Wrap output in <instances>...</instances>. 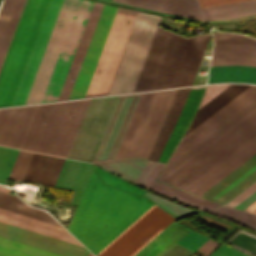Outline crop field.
Here are the masks:
<instances>
[{
	"label": "crop field",
	"mask_w": 256,
	"mask_h": 256,
	"mask_svg": "<svg viewBox=\"0 0 256 256\" xmlns=\"http://www.w3.org/2000/svg\"><path fill=\"white\" fill-rule=\"evenodd\" d=\"M143 197L103 185L93 170L68 230L96 255L154 204Z\"/></svg>",
	"instance_id": "obj_1"
},
{
	"label": "crop field",
	"mask_w": 256,
	"mask_h": 256,
	"mask_svg": "<svg viewBox=\"0 0 256 256\" xmlns=\"http://www.w3.org/2000/svg\"><path fill=\"white\" fill-rule=\"evenodd\" d=\"M176 35L156 28L133 92L172 86L190 39ZM209 36L190 39L172 87L192 84Z\"/></svg>",
	"instance_id": "obj_2"
},
{
	"label": "crop field",
	"mask_w": 256,
	"mask_h": 256,
	"mask_svg": "<svg viewBox=\"0 0 256 256\" xmlns=\"http://www.w3.org/2000/svg\"><path fill=\"white\" fill-rule=\"evenodd\" d=\"M89 100L39 105L20 148L65 157Z\"/></svg>",
	"instance_id": "obj_3"
},
{
	"label": "crop field",
	"mask_w": 256,
	"mask_h": 256,
	"mask_svg": "<svg viewBox=\"0 0 256 256\" xmlns=\"http://www.w3.org/2000/svg\"><path fill=\"white\" fill-rule=\"evenodd\" d=\"M50 0H26L0 68V107L11 106Z\"/></svg>",
	"instance_id": "obj_4"
},
{
	"label": "crop field",
	"mask_w": 256,
	"mask_h": 256,
	"mask_svg": "<svg viewBox=\"0 0 256 256\" xmlns=\"http://www.w3.org/2000/svg\"><path fill=\"white\" fill-rule=\"evenodd\" d=\"M175 90L140 94L114 159L147 158Z\"/></svg>",
	"instance_id": "obj_5"
},
{
	"label": "crop field",
	"mask_w": 256,
	"mask_h": 256,
	"mask_svg": "<svg viewBox=\"0 0 256 256\" xmlns=\"http://www.w3.org/2000/svg\"><path fill=\"white\" fill-rule=\"evenodd\" d=\"M255 96L256 86H250L241 94H239L236 98H234L224 107H222L219 111H217L215 114H213L203 123H201L198 127L192 130L186 136H184L180 141L179 145L177 146V148L175 149V151L173 152L172 156L168 160V162L172 160L174 157H176L178 154H180L182 151H184L186 148H188L190 145H192L194 142H196L199 138H201L211 129H213L215 126H217L219 123H221L223 120H225L227 117H229L231 114H233L236 110H238L240 107H242ZM255 107L256 97L252 99L250 102H248L246 105H244L242 108H240L238 111H236L225 121H223L221 124H219L217 127H215L213 130H211L209 133H207L205 136H203L201 139H199L196 143H194L180 155H178L176 158H174L172 161H170L169 163L167 162L168 164L164 166L162 172L157 177V180L160 181L161 179H163L165 176H167L169 173L175 170L178 166H180L182 163L188 160L191 156H193L195 153H197L199 150L205 147L208 143H210L212 140L218 137L221 133H223L225 130H227L229 127L235 124L238 120H240L242 117L248 114Z\"/></svg>",
	"instance_id": "obj_6"
},
{
	"label": "crop field",
	"mask_w": 256,
	"mask_h": 256,
	"mask_svg": "<svg viewBox=\"0 0 256 256\" xmlns=\"http://www.w3.org/2000/svg\"><path fill=\"white\" fill-rule=\"evenodd\" d=\"M256 133V108L161 182L183 189Z\"/></svg>",
	"instance_id": "obj_7"
},
{
	"label": "crop field",
	"mask_w": 256,
	"mask_h": 256,
	"mask_svg": "<svg viewBox=\"0 0 256 256\" xmlns=\"http://www.w3.org/2000/svg\"><path fill=\"white\" fill-rule=\"evenodd\" d=\"M159 19L138 12L108 95L133 91Z\"/></svg>",
	"instance_id": "obj_8"
},
{
	"label": "crop field",
	"mask_w": 256,
	"mask_h": 256,
	"mask_svg": "<svg viewBox=\"0 0 256 256\" xmlns=\"http://www.w3.org/2000/svg\"><path fill=\"white\" fill-rule=\"evenodd\" d=\"M136 13L117 9L85 97L107 95Z\"/></svg>",
	"instance_id": "obj_9"
},
{
	"label": "crop field",
	"mask_w": 256,
	"mask_h": 256,
	"mask_svg": "<svg viewBox=\"0 0 256 256\" xmlns=\"http://www.w3.org/2000/svg\"><path fill=\"white\" fill-rule=\"evenodd\" d=\"M175 219L154 204L96 256H133Z\"/></svg>",
	"instance_id": "obj_10"
},
{
	"label": "crop field",
	"mask_w": 256,
	"mask_h": 256,
	"mask_svg": "<svg viewBox=\"0 0 256 256\" xmlns=\"http://www.w3.org/2000/svg\"><path fill=\"white\" fill-rule=\"evenodd\" d=\"M230 64L256 66V46L246 44H214L210 66ZM241 65L210 67L208 83H256V67Z\"/></svg>",
	"instance_id": "obj_11"
},
{
	"label": "crop field",
	"mask_w": 256,
	"mask_h": 256,
	"mask_svg": "<svg viewBox=\"0 0 256 256\" xmlns=\"http://www.w3.org/2000/svg\"><path fill=\"white\" fill-rule=\"evenodd\" d=\"M117 96L91 99L66 157L89 162Z\"/></svg>",
	"instance_id": "obj_12"
},
{
	"label": "crop field",
	"mask_w": 256,
	"mask_h": 256,
	"mask_svg": "<svg viewBox=\"0 0 256 256\" xmlns=\"http://www.w3.org/2000/svg\"><path fill=\"white\" fill-rule=\"evenodd\" d=\"M78 0H63L25 104L40 102Z\"/></svg>",
	"instance_id": "obj_13"
},
{
	"label": "crop field",
	"mask_w": 256,
	"mask_h": 256,
	"mask_svg": "<svg viewBox=\"0 0 256 256\" xmlns=\"http://www.w3.org/2000/svg\"><path fill=\"white\" fill-rule=\"evenodd\" d=\"M92 3L93 2L91 1L79 0L73 18L71 20L67 35L65 37L62 49L60 51L58 60L56 62L55 68L53 70L41 102L53 101L57 99L69 65L71 63L73 54L75 52L81 32L88 18Z\"/></svg>",
	"instance_id": "obj_14"
},
{
	"label": "crop field",
	"mask_w": 256,
	"mask_h": 256,
	"mask_svg": "<svg viewBox=\"0 0 256 256\" xmlns=\"http://www.w3.org/2000/svg\"><path fill=\"white\" fill-rule=\"evenodd\" d=\"M139 97L140 94L117 97L92 162L113 158Z\"/></svg>",
	"instance_id": "obj_15"
},
{
	"label": "crop field",
	"mask_w": 256,
	"mask_h": 256,
	"mask_svg": "<svg viewBox=\"0 0 256 256\" xmlns=\"http://www.w3.org/2000/svg\"><path fill=\"white\" fill-rule=\"evenodd\" d=\"M116 9L103 6L69 99L84 96Z\"/></svg>",
	"instance_id": "obj_16"
},
{
	"label": "crop field",
	"mask_w": 256,
	"mask_h": 256,
	"mask_svg": "<svg viewBox=\"0 0 256 256\" xmlns=\"http://www.w3.org/2000/svg\"><path fill=\"white\" fill-rule=\"evenodd\" d=\"M0 237L40 248L62 256H86L90 253L83 247L43 236L1 222Z\"/></svg>",
	"instance_id": "obj_17"
},
{
	"label": "crop field",
	"mask_w": 256,
	"mask_h": 256,
	"mask_svg": "<svg viewBox=\"0 0 256 256\" xmlns=\"http://www.w3.org/2000/svg\"><path fill=\"white\" fill-rule=\"evenodd\" d=\"M62 0H51L12 106L25 103Z\"/></svg>",
	"instance_id": "obj_18"
},
{
	"label": "crop field",
	"mask_w": 256,
	"mask_h": 256,
	"mask_svg": "<svg viewBox=\"0 0 256 256\" xmlns=\"http://www.w3.org/2000/svg\"><path fill=\"white\" fill-rule=\"evenodd\" d=\"M256 179V154L201 197L223 204Z\"/></svg>",
	"instance_id": "obj_19"
},
{
	"label": "crop field",
	"mask_w": 256,
	"mask_h": 256,
	"mask_svg": "<svg viewBox=\"0 0 256 256\" xmlns=\"http://www.w3.org/2000/svg\"><path fill=\"white\" fill-rule=\"evenodd\" d=\"M37 106L0 110V145L20 147Z\"/></svg>",
	"instance_id": "obj_20"
},
{
	"label": "crop field",
	"mask_w": 256,
	"mask_h": 256,
	"mask_svg": "<svg viewBox=\"0 0 256 256\" xmlns=\"http://www.w3.org/2000/svg\"><path fill=\"white\" fill-rule=\"evenodd\" d=\"M117 3L187 17L206 20L197 0H114Z\"/></svg>",
	"instance_id": "obj_21"
},
{
	"label": "crop field",
	"mask_w": 256,
	"mask_h": 256,
	"mask_svg": "<svg viewBox=\"0 0 256 256\" xmlns=\"http://www.w3.org/2000/svg\"><path fill=\"white\" fill-rule=\"evenodd\" d=\"M0 221L82 246L63 227L0 208Z\"/></svg>",
	"instance_id": "obj_22"
},
{
	"label": "crop field",
	"mask_w": 256,
	"mask_h": 256,
	"mask_svg": "<svg viewBox=\"0 0 256 256\" xmlns=\"http://www.w3.org/2000/svg\"><path fill=\"white\" fill-rule=\"evenodd\" d=\"M102 6H103L102 4H98L95 2L93 3L90 16L86 23L85 29L83 31L79 45L75 52V55L72 60L71 66L69 68L64 85L62 87V90L57 100H63V99L69 98L79 67L81 65L82 59L84 57L85 51L87 49L88 43L90 41L91 35L93 33V30L96 25ZM71 80H74V81H71Z\"/></svg>",
	"instance_id": "obj_23"
},
{
	"label": "crop field",
	"mask_w": 256,
	"mask_h": 256,
	"mask_svg": "<svg viewBox=\"0 0 256 256\" xmlns=\"http://www.w3.org/2000/svg\"><path fill=\"white\" fill-rule=\"evenodd\" d=\"M86 163L66 159L54 186L74 189ZM93 168L87 163L69 203L77 205Z\"/></svg>",
	"instance_id": "obj_24"
},
{
	"label": "crop field",
	"mask_w": 256,
	"mask_h": 256,
	"mask_svg": "<svg viewBox=\"0 0 256 256\" xmlns=\"http://www.w3.org/2000/svg\"><path fill=\"white\" fill-rule=\"evenodd\" d=\"M191 88L177 89L167 111L165 119L148 156V160L157 161L184 106Z\"/></svg>",
	"instance_id": "obj_25"
},
{
	"label": "crop field",
	"mask_w": 256,
	"mask_h": 256,
	"mask_svg": "<svg viewBox=\"0 0 256 256\" xmlns=\"http://www.w3.org/2000/svg\"><path fill=\"white\" fill-rule=\"evenodd\" d=\"M64 160L63 158L34 153L23 181H32L53 186Z\"/></svg>",
	"instance_id": "obj_26"
},
{
	"label": "crop field",
	"mask_w": 256,
	"mask_h": 256,
	"mask_svg": "<svg viewBox=\"0 0 256 256\" xmlns=\"http://www.w3.org/2000/svg\"><path fill=\"white\" fill-rule=\"evenodd\" d=\"M203 87H195L192 88L190 91V94L187 98V101L185 103V106L181 112V115L177 121V124L159 158L158 161L165 163L168 156L170 155L171 151L173 150V148L175 147L176 143L178 142V140L180 139V137L182 136L184 130L186 129L197 105L199 102V99L201 97L202 91H203ZM191 122V121H190ZM190 124V123H189ZM178 144V143H177ZM173 152V151H172ZM170 157V156H169Z\"/></svg>",
	"instance_id": "obj_27"
},
{
	"label": "crop field",
	"mask_w": 256,
	"mask_h": 256,
	"mask_svg": "<svg viewBox=\"0 0 256 256\" xmlns=\"http://www.w3.org/2000/svg\"><path fill=\"white\" fill-rule=\"evenodd\" d=\"M247 85L242 84H231L222 92H220L217 96L211 99L208 103L202 106L200 109L197 110L189 129L187 130L186 134L198 126L201 122L219 110L222 106L236 97L239 93L245 90ZM185 134V135H186Z\"/></svg>",
	"instance_id": "obj_28"
},
{
	"label": "crop field",
	"mask_w": 256,
	"mask_h": 256,
	"mask_svg": "<svg viewBox=\"0 0 256 256\" xmlns=\"http://www.w3.org/2000/svg\"><path fill=\"white\" fill-rule=\"evenodd\" d=\"M96 165L136 184L141 177L145 169L150 164V161H146L139 158L97 162Z\"/></svg>",
	"instance_id": "obj_29"
},
{
	"label": "crop field",
	"mask_w": 256,
	"mask_h": 256,
	"mask_svg": "<svg viewBox=\"0 0 256 256\" xmlns=\"http://www.w3.org/2000/svg\"><path fill=\"white\" fill-rule=\"evenodd\" d=\"M188 232L189 230L173 223L136 256H161Z\"/></svg>",
	"instance_id": "obj_30"
},
{
	"label": "crop field",
	"mask_w": 256,
	"mask_h": 256,
	"mask_svg": "<svg viewBox=\"0 0 256 256\" xmlns=\"http://www.w3.org/2000/svg\"><path fill=\"white\" fill-rule=\"evenodd\" d=\"M25 0H4L0 13L12 15L10 21L0 20V65Z\"/></svg>",
	"instance_id": "obj_31"
},
{
	"label": "crop field",
	"mask_w": 256,
	"mask_h": 256,
	"mask_svg": "<svg viewBox=\"0 0 256 256\" xmlns=\"http://www.w3.org/2000/svg\"><path fill=\"white\" fill-rule=\"evenodd\" d=\"M202 11L207 20H223L256 14V0L204 8Z\"/></svg>",
	"instance_id": "obj_32"
},
{
	"label": "crop field",
	"mask_w": 256,
	"mask_h": 256,
	"mask_svg": "<svg viewBox=\"0 0 256 256\" xmlns=\"http://www.w3.org/2000/svg\"><path fill=\"white\" fill-rule=\"evenodd\" d=\"M149 189L162 195H165L167 197H170L172 199H175L177 201L193 206L195 208H198L200 210L220 206L156 181H154V183L149 187Z\"/></svg>",
	"instance_id": "obj_33"
},
{
	"label": "crop field",
	"mask_w": 256,
	"mask_h": 256,
	"mask_svg": "<svg viewBox=\"0 0 256 256\" xmlns=\"http://www.w3.org/2000/svg\"><path fill=\"white\" fill-rule=\"evenodd\" d=\"M0 207L60 225L47 212L41 211V210H38L35 208H31L27 204H25L22 200H20L17 196L10 195V194L4 193V192H0Z\"/></svg>",
	"instance_id": "obj_34"
},
{
	"label": "crop field",
	"mask_w": 256,
	"mask_h": 256,
	"mask_svg": "<svg viewBox=\"0 0 256 256\" xmlns=\"http://www.w3.org/2000/svg\"><path fill=\"white\" fill-rule=\"evenodd\" d=\"M255 143H256V134L252 136L250 139H248L241 146H239L237 149H235L233 152H231L228 156H226L220 162H218L215 166H213L207 172H205L203 175H201L198 179H196L194 182H192L190 185L184 188V190L192 192L201 184H203L205 181H207L209 178H211L213 175H215L217 172H219L222 168H224L226 165H228L230 162H232L234 159H236L238 156H240L250 147H252Z\"/></svg>",
	"instance_id": "obj_35"
},
{
	"label": "crop field",
	"mask_w": 256,
	"mask_h": 256,
	"mask_svg": "<svg viewBox=\"0 0 256 256\" xmlns=\"http://www.w3.org/2000/svg\"><path fill=\"white\" fill-rule=\"evenodd\" d=\"M231 222L244 226L253 230L256 227V215L245 213L242 211L230 209V208H219L211 211H207Z\"/></svg>",
	"instance_id": "obj_36"
},
{
	"label": "crop field",
	"mask_w": 256,
	"mask_h": 256,
	"mask_svg": "<svg viewBox=\"0 0 256 256\" xmlns=\"http://www.w3.org/2000/svg\"><path fill=\"white\" fill-rule=\"evenodd\" d=\"M0 246L11 250H15L31 256H59L53 253H49L43 250H39L30 246H26L17 242H13L7 239L0 238ZM0 247V256H28L15 251H11Z\"/></svg>",
	"instance_id": "obj_37"
},
{
	"label": "crop field",
	"mask_w": 256,
	"mask_h": 256,
	"mask_svg": "<svg viewBox=\"0 0 256 256\" xmlns=\"http://www.w3.org/2000/svg\"><path fill=\"white\" fill-rule=\"evenodd\" d=\"M255 153L256 144L248 151H246L244 154H242L240 157H238L236 160H234L232 163H230L228 166H226L219 173H217L215 176H213L211 179H209L207 182H205L203 185H201L199 188H197L195 191H193V193L200 196Z\"/></svg>",
	"instance_id": "obj_38"
},
{
	"label": "crop field",
	"mask_w": 256,
	"mask_h": 256,
	"mask_svg": "<svg viewBox=\"0 0 256 256\" xmlns=\"http://www.w3.org/2000/svg\"><path fill=\"white\" fill-rule=\"evenodd\" d=\"M94 169L95 171L97 172V174L99 175V177L101 178L102 181H104V183L108 184V185H111V186H114L116 188H119V189H122V190H125V191H128V192H131L133 194H136V195H139V196H142L145 191L137 188L136 186L94 166Z\"/></svg>",
	"instance_id": "obj_39"
},
{
	"label": "crop field",
	"mask_w": 256,
	"mask_h": 256,
	"mask_svg": "<svg viewBox=\"0 0 256 256\" xmlns=\"http://www.w3.org/2000/svg\"><path fill=\"white\" fill-rule=\"evenodd\" d=\"M18 151L0 146V184H5Z\"/></svg>",
	"instance_id": "obj_40"
},
{
	"label": "crop field",
	"mask_w": 256,
	"mask_h": 256,
	"mask_svg": "<svg viewBox=\"0 0 256 256\" xmlns=\"http://www.w3.org/2000/svg\"><path fill=\"white\" fill-rule=\"evenodd\" d=\"M144 196H146L150 200L154 201L155 203H157L158 205H160L161 207H163L164 209L171 212L172 214H174L177 217L196 212L194 210L183 207L181 205H178L176 203H173V202L163 199L161 197L155 196L148 192H146Z\"/></svg>",
	"instance_id": "obj_41"
},
{
	"label": "crop field",
	"mask_w": 256,
	"mask_h": 256,
	"mask_svg": "<svg viewBox=\"0 0 256 256\" xmlns=\"http://www.w3.org/2000/svg\"><path fill=\"white\" fill-rule=\"evenodd\" d=\"M32 154L31 152L20 150L8 178L22 180Z\"/></svg>",
	"instance_id": "obj_42"
},
{
	"label": "crop field",
	"mask_w": 256,
	"mask_h": 256,
	"mask_svg": "<svg viewBox=\"0 0 256 256\" xmlns=\"http://www.w3.org/2000/svg\"><path fill=\"white\" fill-rule=\"evenodd\" d=\"M239 232H241V230H239L238 232H236L232 237H231V239L227 242L228 244H230V245H232V246H235V245H238V246H240V247H242V248H245V249H247V250H249V251H252V252H254V253H256V238L255 237H253V236H250V235H248V234H245V233H243V232H241L240 234H238ZM238 234V235H237ZM237 235V236H236ZM236 236V237H235ZM235 237V238H234ZM234 238V239H233ZM233 239V240H232ZM232 240V241H231ZM231 241V243H233V244H235V245H233V244H231V243H229ZM238 246H235V247H237V248H239V249H242V248H240V247H238ZM245 249H242V250H244V251H246V252H248V253H251V254H253V255H255L256 256V254H254V253H252V252H249V251H247V250H245Z\"/></svg>",
	"instance_id": "obj_43"
},
{
	"label": "crop field",
	"mask_w": 256,
	"mask_h": 256,
	"mask_svg": "<svg viewBox=\"0 0 256 256\" xmlns=\"http://www.w3.org/2000/svg\"><path fill=\"white\" fill-rule=\"evenodd\" d=\"M214 43H247L256 44V40L240 34H230L221 32H212Z\"/></svg>",
	"instance_id": "obj_44"
},
{
	"label": "crop field",
	"mask_w": 256,
	"mask_h": 256,
	"mask_svg": "<svg viewBox=\"0 0 256 256\" xmlns=\"http://www.w3.org/2000/svg\"><path fill=\"white\" fill-rule=\"evenodd\" d=\"M207 240H208V238L190 231L177 244L194 252Z\"/></svg>",
	"instance_id": "obj_45"
},
{
	"label": "crop field",
	"mask_w": 256,
	"mask_h": 256,
	"mask_svg": "<svg viewBox=\"0 0 256 256\" xmlns=\"http://www.w3.org/2000/svg\"><path fill=\"white\" fill-rule=\"evenodd\" d=\"M228 85L229 84L207 86L206 91L204 93V97L202 98L201 103L199 105V108Z\"/></svg>",
	"instance_id": "obj_46"
},
{
	"label": "crop field",
	"mask_w": 256,
	"mask_h": 256,
	"mask_svg": "<svg viewBox=\"0 0 256 256\" xmlns=\"http://www.w3.org/2000/svg\"><path fill=\"white\" fill-rule=\"evenodd\" d=\"M254 191H256V181L225 205L234 207L246 197H248L250 194H252Z\"/></svg>",
	"instance_id": "obj_47"
},
{
	"label": "crop field",
	"mask_w": 256,
	"mask_h": 256,
	"mask_svg": "<svg viewBox=\"0 0 256 256\" xmlns=\"http://www.w3.org/2000/svg\"><path fill=\"white\" fill-rule=\"evenodd\" d=\"M240 1H246V0H198L201 8L240 2Z\"/></svg>",
	"instance_id": "obj_48"
},
{
	"label": "crop field",
	"mask_w": 256,
	"mask_h": 256,
	"mask_svg": "<svg viewBox=\"0 0 256 256\" xmlns=\"http://www.w3.org/2000/svg\"><path fill=\"white\" fill-rule=\"evenodd\" d=\"M210 256H245L241 253H238L224 245H222L219 249L213 252Z\"/></svg>",
	"instance_id": "obj_49"
},
{
	"label": "crop field",
	"mask_w": 256,
	"mask_h": 256,
	"mask_svg": "<svg viewBox=\"0 0 256 256\" xmlns=\"http://www.w3.org/2000/svg\"><path fill=\"white\" fill-rule=\"evenodd\" d=\"M163 165L164 164L157 163V165L155 166V168L150 173V175L148 176V178L146 179V181L143 183L141 187L147 189L152 184L153 180L157 177V175L160 173Z\"/></svg>",
	"instance_id": "obj_50"
},
{
	"label": "crop field",
	"mask_w": 256,
	"mask_h": 256,
	"mask_svg": "<svg viewBox=\"0 0 256 256\" xmlns=\"http://www.w3.org/2000/svg\"><path fill=\"white\" fill-rule=\"evenodd\" d=\"M255 200H256V192H254L252 195H250L248 198H246L244 201L238 204L235 208L243 210Z\"/></svg>",
	"instance_id": "obj_51"
},
{
	"label": "crop field",
	"mask_w": 256,
	"mask_h": 256,
	"mask_svg": "<svg viewBox=\"0 0 256 256\" xmlns=\"http://www.w3.org/2000/svg\"><path fill=\"white\" fill-rule=\"evenodd\" d=\"M156 165V163L151 162V164L149 165V167L146 169V171L144 172V174L142 175V177L139 179V181L137 182V185L141 186V184L144 182V180L146 179V177L148 176V174L151 172V170L153 169V167Z\"/></svg>",
	"instance_id": "obj_52"
},
{
	"label": "crop field",
	"mask_w": 256,
	"mask_h": 256,
	"mask_svg": "<svg viewBox=\"0 0 256 256\" xmlns=\"http://www.w3.org/2000/svg\"><path fill=\"white\" fill-rule=\"evenodd\" d=\"M216 244V242L212 241V240H208L205 244H203L199 250L203 251V252H207L210 248H212L214 245Z\"/></svg>",
	"instance_id": "obj_53"
},
{
	"label": "crop field",
	"mask_w": 256,
	"mask_h": 256,
	"mask_svg": "<svg viewBox=\"0 0 256 256\" xmlns=\"http://www.w3.org/2000/svg\"><path fill=\"white\" fill-rule=\"evenodd\" d=\"M245 211L256 213V201L252 203L250 206H248Z\"/></svg>",
	"instance_id": "obj_54"
},
{
	"label": "crop field",
	"mask_w": 256,
	"mask_h": 256,
	"mask_svg": "<svg viewBox=\"0 0 256 256\" xmlns=\"http://www.w3.org/2000/svg\"><path fill=\"white\" fill-rule=\"evenodd\" d=\"M0 191H4L8 193L9 190L6 187L0 186Z\"/></svg>",
	"instance_id": "obj_55"
},
{
	"label": "crop field",
	"mask_w": 256,
	"mask_h": 256,
	"mask_svg": "<svg viewBox=\"0 0 256 256\" xmlns=\"http://www.w3.org/2000/svg\"><path fill=\"white\" fill-rule=\"evenodd\" d=\"M88 256H93L91 253Z\"/></svg>",
	"instance_id": "obj_56"
},
{
	"label": "crop field",
	"mask_w": 256,
	"mask_h": 256,
	"mask_svg": "<svg viewBox=\"0 0 256 256\" xmlns=\"http://www.w3.org/2000/svg\"><path fill=\"white\" fill-rule=\"evenodd\" d=\"M254 231H256V229Z\"/></svg>",
	"instance_id": "obj_57"
}]
</instances>
